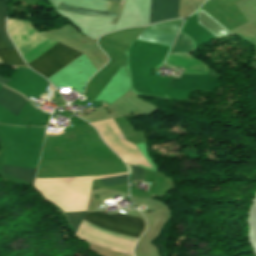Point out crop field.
I'll return each mask as SVG.
<instances>
[{"label":"crop field","instance_id":"obj_1","mask_svg":"<svg viewBox=\"0 0 256 256\" xmlns=\"http://www.w3.org/2000/svg\"><path fill=\"white\" fill-rule=\"evenodd\" d=\"M83 221L91 225H94L102 230L112 232L121 236L129 237L132 239H136V240L138 239V236L144 227L143 221H135V220L119 217V216H113L107 213L106 211H97V212L87 213ZM96 227H93V228L101 232L111 234V233L102 231ZM115 234H111V235L118 237V235H115ZM121 236L120 238L128 239ZM132 239H128V240L136 242V240H132Z\"/></svg>","mask_w":256,"mask_h":256},{"label":"crop field","instance_id":"obj_2","mask_svg":"<svg viewBox=\"0 0 256 256\" xmlns=\"http://www.w3.org/2000/svg\"><path fill=\"white\" fill-rule=\"evenodd\" d=\"M80 55L81 53L57 42L27 64L47 78L67 66Z\"/></svg>","mask_w":256,"mask_h":256},{"label":"crop field","instance_id":"obj_3","mask_svg":"<svg viewBox=\"0 0 256 256\" xmlns=\"http://www.w3.org/2000/svg\"><path fill=\"white\" fill-rule=\"evenodd\" d=\"M184 19L165 22L146 27L147 30H153L163 33H169L176 35ZM144 30L142 35L139 37L140 40L155 42L159 44L171 46L175 37L174 35H168L158 32H152Z\"/></svg>","mask_w":256,"mask_h":256},{"label":"crop field","instance_id":"obj_4","mask_svg":"<svg viewBox=\"0 0 256 256\" xmlns=\"http://www.w3.org/2000/svg\"><path fill=\"white\" fill-rule=\"evenodd\" d=\"M179 0H152L150 24L176 19L178 14Z\"/></svg>","mask_w":256,"mask_h":256},{"label":"crop field","instance_id":"obj_5","mask_svg":"<svg viewBox=\"0 0 256 256\" xmlns=\"http://www.w3.org/2000/svg\"><path fill=\"white\" fill-rule=\"evenodd\" d=\"M165 63L180 67L184 73L207 74L206 66L189 55H169Z\"/></svg>","mask_w":256,"mask_h":256},{"label":"crop field","instance_id":"obj_6","mask_svg":"<svg viewBox=\"0 0 256 256\" xmlns=\"http://www.w3.org/2000/svg\"><path fill=\"white\" fill-rule=\"evenodd\" d=\"M25 102L26 101L21 96L1 87V89H0V106L4 107L12 114L17 116L19 111L24 106Z\"/></svg>","mask_w":256,"mask_h":256},{"label":"crop field","instance_id":"obj_7","mask_svg":"<svg viewBox=\"0 0 256 256\" xmlns=\"http://www.w3.org/2000/svg\"><path fill=\"white\" fill-rule=\"evenodd\" d=\"M198 24H200L217 38L234 35L227 29H225L222 25H220L217 21H215L211 16L205 13L203 10L198 13Z\"/></svg>","mask_w":256,"mask_h":256},{"label":"crop field","instance_id":"obj_8","mask_svg":"<svg viewBox=\"0 0 256 256\" xmlns=\"http://www.w3.org/2000/svg\"><path fill=\"white\" fill-rule=\"evenodd\" d=\"M36 169L4 165V173L33 184Z\"/></svg>","mask_w":256,"mask_h":256},{"label":"crop field","instance_id":"obj_9","mask_svg":"<svg viewBox=\"0 0 256 256\" xmlns=\"http://www.w3.org/2000/svg\"><path fill=\"white\" fill-rule=\"evenodd\" d=\"M113 1L121 2L122 0H113ZM59 9L69 13L86 15V16H98V17H110V18H115L117 16V13H114V12L81 9L74 6L67 5L61 1H60Z\"/></svg>","mask_w":256,"mask_h":256},{"label":"crop field","instance_id":"obj_10","mask_svg":"<svg viewBox=\"0 0 256 256\" xmlns=\"http://www.w3.org/2000/svg\"><path fill=\"white\" fill-rule=\"evenodd\" d=\"M0 35L10 50L15 49V47L10 42L7 33L5 31V0L0 1ZM0 37V51L9 50L8 47L5 45L3 40Z\"/></svg>","mask_w":256,"mask_h":256},{"label":"crop field","instance_id":"obj_11","mask_svg":"<svg viewBox=\"0 0 256 256\" xmlns=\"http://www.w3.org/2000/svg\"><path fill=\"white\" fill-rule=\"evenodd\" d=\"M192 48L193 42L180 33L170 53H189Z\"/></svg>","mask_w":256,"mask_h":256},{"label":"crop field","instance_id":"obj_12","mask_svg":"<svg viewBox=\"0 0 256 256\" xmlns=\"http://www.w3.org/2000/svg\"><path fill=\"white\" fill-rule=\"evenodd\" d=\"M0 59L4 65L13 66H26L20 58L16 50L0 53ZM27 67V66H26Z\"/></svg>","mask_w":256,"mask_h":256},{"label":"crop field","instance_id":"obj_13","mask_svg":"<svg viewBox=\"0 0 256 256\" xmlns=\"http://www.w3.org/2000/svg\"><path fill=\"white\" fill-rule=\"evenodd\" d=\"M103 186L121 184L127 182V175L115 176L107 179H100Z\"/></svg>","mask_w":256,"mask_h":256},{"label":"crop field","instance_id":"obj_14","mask_svg":"<svg viewBox=\"0 0 256 256\" xmlns=\"http://www.w3.org/2000/svg\"><path fill=\"white\" fill-rule=\"evenodd\" d=\"M67 221L69 222L72 230L74 232H76L77 228L79 227V225L81 224L83 218L80 217H73V216H67L65 215Z\"/></svg>","mask_w":256,"mask_h":256},{"label":"crop field","instance_id":"obj_15","mask_svg":"<svg viewBox=\"0 0 256 256\" xmlns=\"http://www.w3.org/2000/svg\"><path fill=\"white\" fill-rule=\"evenodd\" d=\"M131 168L132 181L143 180L142 169L129 165Z\"/></svg>","mask_w":256,"mask_h":256},{"label":"crop field","instance_id":"obj_16","mask_svg":"<svg viewBox=\"0 0 256 256\" xmlns=\"http://www.w3.org/2000/svg\"><path fill=\"white\" fill-rule=\"evenodd\" d=\"M0 66H1V63H0ZM7 81L8 79L0 77V82L3 83L4 85L6 84Z\"/></svg>","mask_w":256,"mask_h":256}]
</instances>
